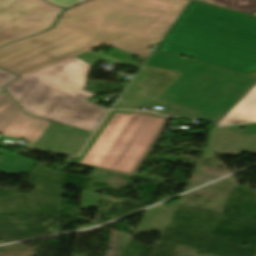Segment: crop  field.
<instances>
[{
    "mask_svg": "<svg viewBox=\"0 0 256 256\" xmlns=\"http://www.w3.org/2000/svg\"><path fill=\"white\" fill-rule=\"evenodd\" d=\"M50 121L25 114L14 100L3 92L0 94V133L6 137H17L29 141L32 149Z\"/></svg>",
    "mask_w": 256,
    "mask_h": 256,
    "instance_id": "7",
    "label": "crop field"
},
{
    "mask_svg": "<svg viewBox=\"0 0 256 256\" xmlns=\"http://www.w3.org/2000/svg\"><path fill=\"white\" fill-rule=\"evenodd\" d=\"M158 49L256 78V19L193 1Z\"/></svg>",
    "mask_w": 256,
    "mask_h": 256,
    "instance_id": "2",
    "label": "crop field"
},
{
    "mask_svg": "<svg viewBox=\"0 0 256 256\" xmlns=\"http://www.w3.org/2000/svg\"><path fill=\"white\" fill-rule=\"evenodd\" d=\"M17 77L18 76L13 75V74H11L9 72H6V71L0 69V92L2 90H4L2 88L4 85H6L7 83L11 82L12 80H14Z\"/></svg>",
    "mask_w": 256,
    "mask_h": 256,
    "instance_id": "16",
    "label": "crop field"
},
{
    "mask_svg": "<svg viewBox=\"0 0 256 256\" xmlns=\"http://www.w3.org/2000/svg\"><path fill=\"white\" fill-rule=\"evenodd\" d=\"M253 16H254V17H256V13H255V14H253Z\"/></svg>",
    "mask_w": 256,
    "mask_h": 256,
    "instance_id": "19",
    "label": "crop field"
},
{
    "mask_svg": "<svg viewBox=\"0 0 256 256\" xmlns=\"http://www.w3.org/2000/svg\"><path fill=\"white\" fill-rule=\"evenodd\" d=\"M189 0H91L55 28L0 49V67L21 78L5 86L28 114L94 132L109 109L85 101L91 65L75 58L106 44L149 57Z\"/></svg>",
    "mask_w": 256,
    "mask_h": 256,
    "instance_id": "1",
    "label": "crop field"
},
{
    "mask_svg": "<svg viewBox=\"0 0 256 256\" xmlns=\"http://www.w3.org/2000/svg\"><path fill=\"white\" fill-rule=\"evenodd\" d=\"M133 111H113L88 143L75 164L95 168Z\"/></svg>",
    "mask_w": 256,
    "mask_h": 256,
    "instance_id": "8",
    "label": "crop field"
},
{
    "mask_svg": "<svg viewBox=\"0 0 256 256\" xmlns=\"http://www.w3.org/2000/svg\"><path fill=\"white\" fill-rule=\"evenodd\" d=\"M169 119L134 111L96 169L133 178Z\"/></svg>",
    "mask_w": 256,
    "mask_h": 256,
    "instance_id": "3",
    "label": "crop field"
},
{
    "mask_svg": "<svg viewBox=\"0 0 256 256\" xmlns=\"http://www.w3.org/2000/svg\"><path fill=\"white\" fill-rule=\"evenodd\" d=\"M91 135L92 132L67 126L50 151L70 156L78 155Z\"/></svg>",
    "mask_w": 256,
    "mask_h": 256,
    "instance_id": "11",
    "label": "crop field"
},
{
    "mask_svg": "<svg viewBox=\"0 0 256 256\" xmlns=\"http://www.w3.org/2000/svg\"><path fill=\"white\" fill-rule=\"evenodd\" d=\"M65 128L66 125L51 122L33 149L49 151Z\"/></svg>",
    "mask_w": 256,
    "mask_h": 256,
    "instance_id": "12",
    "label": "crop field"
},
{
    "mask_svg": "<svg viewBox=\"0 0 256 256\" xmlns=\"http://www.w3.org/2000/svg\"><path fill=\"white\" fill-rule=\"evenodd\" d=\"M0 156L2 157L3 162L11 163L15 165H20L28 168H34L37 162L16 156L12 153L0 150Z\"/></svg>",
    "mask_w": 256,
    "mask_h": 256,
    "instance_id": "14",
    "label": "crop field"
},
{
    "mask_svg": "<svg viewBox=\"0 0 256 256\" xmlns=\"http://www.w3.org/2000/svg\"><path fill=\"white\" fill-rule=\"evenodd\" d=\"M148 66L176 70L183 73L159 98L166 104L160 114L180 116L225 69L194 62L156 50Z\"/></svg>",
    "mask_w": 256,
    "mask_h": 256,
    "instance_id": "4",
    "label": "crop field"
},
{
    "mask_svg": "<svg viewBox=\"0 0 256 256\" xmlns=\"http://www.w3.org/2000/svg\"><path fill=\"white\" fill-rule=\"evenodd\" d=\"M209 147L218 155L256 153V134L241 135L227 127L213 129Z\"/></svg>",
    "mask_w": 256,
    "mask_h": 256,
    "instance_id": "9",
    "label": "crop field"
},
{
    "mask_svg": "<svg viewBox=\"0 0 256 256\" xmlns=\"http://www.w3.org/2000/svg\"><path fill=\"white\" fill-rule=\"evenodd\" d=\"M31 169L10 165L6 163H0V172L8 174H19V173H28Z\"/></svg>",
    "mask_w": 256,
    "mask_h": 256,
    "instance_id": "15",
    "label": "crop field"
},
{
    "mask_svg": "<svg viewBox=\"0 0 256 256\" xmlns=\"http://www.w3.org/2000/svg\"><path fill=\"white\" fill-rule=\"evenodd\" d=\"M0 146H5V145H3V144L0 143Z\"/></svg>",
    "mask_w": 256,
    "mask_h": 256,
    "instance_id": "18",
    "label": "crop field"
},
{
    "mask_svg": "<svg viewBox=\"0 0 256 256\" xmlns=\"http://www.w3.org/2000/svg\"><path fill=\"white\" fill-rule=\"evenodd\" d=\"M256 84V79L226 70L181 117L215 124Z\"/></svg>",
    "mask_w": 256,
    "mask_h": 256,
    "instance_id": "6",
    "label": "crop field"
},
{
    "mask_svg": "<svg viewBox=\"0 0 256 256\" xmlns=\"http://www.w3.org/2000/svg\"><path fill=\"white\" fill-rule=\"evenodd\" d=\"M227 9L251 13L256 10V0H201Z\"/></svg>",
    "mask_w": 256,
    "mask_h": 256,
    "instance_id": "13",
    "label": "crop field"
},
{
    "mask_svg": "<svg viewBox=\"0 0 256 256\" xmlns=\"http://www.w3.org/2000/svg\"><path fill=\"white\" fill-rule=\"evenodd\" d=\"M256 121V85L216 124L228 125Z\"/></svg>",
    "mask_w": 256,
    "mask_h": 256,
    "instance_id": "10",
    "label": "crop field"
},
{
    "mask_svg": "<svg viewBox=\"0 0 256 256\" xmlns=\"http://www.w3.org/2000/svg\"><path fill=\"white\" fill-rule=\"evenodd\" d=\"M239 126H245V130H240L237 127ZM239 126H231L230 128L242 133V134H248V133H256V123L255 124H247V125H239Z\"/></svg>",
    "mask_w": 256,
    "mask_h": 256,
    "instance_id": "17",
    "label": "crop field"
},
{
    "mask_svg": "<svg viewBox=\"0 0 256 256\" xmlns=\"http://www.w3.org/2000/svg\"><path fill=\"white\" fill-rule=\"evenodd\" d=\"M69 8L87 0H48ZM45 0H0V47L52 26L63 8Z\"/></svg>",
    "mask_w": 256,
    "mask_h": 256,
    "instance_id": "5",
    "label": "crop field"
}]
</instances>
